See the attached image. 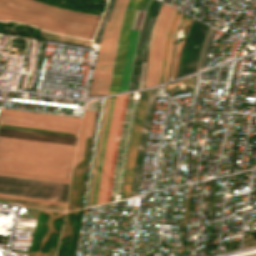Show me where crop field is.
<instances>
[{
  "instance_id": "obj_1",
  "label": "crop field",
  "mask_w": 256,
  "mask_h": 256,
  "mask_svg": "<svg viewBox=\"0 0 256 256\" xmlns=\"http://www.w3.org/2000/svg\"><path fill=\"white\" fill-rule=\"evenodd\" d=\"M146 1L147 0H130L127 5L119 40H118L115 63H114V68H113L112 77H111V84H110L108 94L116 93L118 90L133 11L134 9L143 10ZM161 5L162 3L156 0H148L147 2L142 25L139 31V36H138V41H137V46H136V51L134 55V60H133V65H132V70H131L127 91L138 89L141 62H147L150 35H151L155 18L161 8ZM139 10L134 11L131 26L139 27L142 13H143V11H139ZM137 31L138 29H134V28L130 29L128 46H127V51H126V56H125V61H124V66H123V71H122V76H121V81H120V86L118 91L125 90L126 88L133 50H134L136 36H137ZM144 67H145V63H142L140 83H139V87L141 86V88L143 84Z\"/></svg>"
},
{
  "instance_id": "obj_2",
  "label": "crop field",
  "mask_w": 256,
  "mask_h": 256,
  "mask_svg": "<svg viewBox=\"0 0 256 256\" xmlns=\"http://www.w3.org/2000/svg\"><path fill=\"white\" fill-rule=\"evenodd\" d=\"M99 18L33 0H0V21L15 20L63 35L92 39Z\"/></svg>"
},
{
  "instance_id": "obj_3",
  "label": "crop field",
  "mask_w": 256,
  "mask_h": 256,
  "mask_svg": "<svg viewBox=\"0 0 256 256\" xmlns=\"http://www.w3.org/2000/svg\"><path fill=\"white\" fill-rule=\"evenodd\" d=\"M74 149L0 139V170L69 179Z\"/></svg>"
},
{
  "instance_id": "obj_4",
  "label": "crop field",
  "mask_w": 256,
  "mask_h": 256,
  "mask_svg": "<svg viewBox=\"0 0 256 256\" xmlns=\"http://www.w3.org/2000/svg\"><path fill=\"white\" fill-rule=\"evenodd\" d=\"M124 95H126V94L116 96L114 108H113V103H114L115 96L111 97V99H110L108 114H107V118H106L103 138H102L101 152H100L98 170H97V175H96V181H95L92 204L96 203V199H97V192H98V186H99V179H100V172H101L104 146H105L106 136H107V132H108L111 112H112V108H113L111 123H110L108 137H107L106 146H105V152H104V159H103V165H102V172H101V179H100V186H99L97 204H101V203L105 202L108 179H109V172H110V166H111V160H112L114 144H115V139H116V134H117V129H118V124H119V119H120V114H121V108H122ZM127 97H128V95L125 96V98H124L122 114H121V119H120V124H119L116 144H115L113 160H112V166H111V172H110V179H109L106 201L109 200V197H110V191H111V184H112V178H113L117 148H118L119 138H120L122 124H123V118H124V113H125V108H126ZM94 205H96V204H94Z\"/></svg>"
},
{
  "instance_id": "obj_5",
  "label": "crop field",
  "mask_w": 256,
  "mask_h": 256,
  "mask_svg": "<svg viewBox=\"0 0 256 256\" xmlns=\"http://www.w3.org/2000/svg\"><path fill=\"white\" fill-rule=\"evenodd\" d=\"M127 3L128 0H116L111 19L104 26L90 88V97L104 95L108 92L116 44Z\"/></svg>"
},
{
  "instance_id": "obj_6",
  "label": "crop field",
  "mask_w": 256,
  "mask_h": 256,
  "mask_svg": "<svg viewBox=\"0 0 256 256\" xmlns=\"http://www.w3.org/2000/svg\"><path fill=\"white\" fill-rule=\"evenodd\" d=\"M176 9L163 4L155 21L149 46L144 88L158 84L165 40Z\"/></svg>"
},
{
  "instance_id": "obj_7",
  "label": "crop field",
  "mask_w": 256,
  "mask_h": 256,
  "mask_svg": "<svg viewBox=\"0 0 256 256\" xmlns=\"http://www.w3.org/2000/svg\"><path fill=\"white\" fill-rule=\"evenodd\" d=\"M81 118L2 109L0 124L77 133Z\"/></svg>"
},
{
  "instance_id": "obj_8",
  "label": "crop field",
  "mask_w": 256,
  "mask_h": 256,
  "mask_svg": "<svg viewBox=\"0 0 256 256\" xmlns=\"http://www.w3.org/2000/svg\"><path fill=\"white\" fill-rule=\"evenodd\" d=\"M208 30V26L192 20L186 39L182 46V54L178 67L177 77L196 72L202 44Z\"/></svg>"
},
{
  "instance_id": "obj_9",
  "label": "crop field",
  "mask_w": 256,
  "mask_h": 256,
  "mask_svg": "<svg viewBox=\"0 0 256 256\" xmlns=\"http://www.w3.org/2000/svg\"><path fill=\"white\" fill-rule=\"evenodd\" d=\"M156 91H157V87L152 88V90L149 91V94H148L145 116H144L141 133L139 137V142L137 146L136 161H135V167H134V173H133V179H132L129 197L137 195L143 156H144L149 126H150Z\"/></svg>"
},
{
  "instance_id": "obj_10",
  "label": "crop field",
  "mask_w": 256,
  "mask_h": 256,
  "mask_svg": "<svg viewBox=\"0 0 256 256\" xmlns=\"http://www.w3.org/2000/svg\"><path fill=\"white\" fill-rule=\"evenodd\" d=\"M95 113L84 112L82 119L74 166L82 160L85 137H91Z\"/></svg>"
},
{
  "instance_id": "obj_11",
  "label": "crop field",
  "mask_w": 256,
  "mask_h": 256,
  "mask_svg": "<svg viewBox=\"0 0 256 256\" xmlns=\"http://www.w3.org/2000/svg\"><path fill=\"white\" fill-rule=\"evenodd\" d=\"M0 175L13 176V177H20V178H28V179H36V180H43V181H51V182H58V183H66V184H69V180H66V179H58V178H51V177H43V176H36V175H29V174H21V173H14V172L0 171Z\"/></svg>"
},
{
  "instance_id": "obj_12",
  "label": "crop field",
  "mask_w": 256,
  "mask_h": 256,
  "mask_svg": "<svg viewBox=\"0 0 256 256\" xmlns=\"http://www.w3.org/2000/svg\"><path fill=\"white\" fill-rule=\"evenodd\" d=\"M215 29L212 27L209 28L208 33L206 35L204 45L202 48V53H201V58H200V64H199V69H203L205 67V63L207 61V54H208V48L210 46L211 39L213 37Z\"/></svg>"
},
{
  "instance_id": "obj_13",
  "label": "crop field",
  "mask_w": 256,
  "mask_h": 256,
  "mask_svg": "<svg viewBox=\"0 0 256 256\" xmlns=\"http://www.w3.org/2000/svg\"><path fill=\"white\" fill-rule=\"evenodd\" d=\"M109 99H110V97H107L106 107H105V112H104V117H103V122H102V128H101V133H100V138H99V144H98V150H97V156H96V162H95V168H94V174H93V180H92V186H91V192H90V198H89L88 206L91 205V201H92V194H93V187H94V181H95V175H96V169H97V163H98V157H99V151H100V144H101L102 132H103V127H104V122H105V117H106V112H107Z\"/></svg>"
},
{
  "instance_id": "obj_14",
  "label": "crop field",
  "mask_w": 256,
  "mask_h": 256,
  "mask_svg": "<svg viewBox=\"0 0 256 256\" xmlns=\"http://www.w3.org/2000/svg\"><path fill=\"white\" fill-rule=\"evenodd\" d=\"M114 2H115V0H109L108 6H107V8H106V10L104 12V16H103L102 22L100 24V27H99V29L97 31V34H96L93 42H98L99 43L103 26H104L106 20L110 19V15H111V11H112V7H113Z\"/></svg>"
},
{
  "instance_id": "obj_15",
  "label": "crop field",
  "mask_w": 256,
  "mask_h": 256,
  "mask_svg": "<svg viewBox=\"0 0 256 256\" xmlns=\"http://www.w3.org/2000/svg\"><path fill=\"white\" fill-rule=\"evenodd\" d=\"M179 13H180V11L177 10V12L175 14V17H174V20H173V23H172V26H171V29H170V32H169L167 40H166L159 84L162 82V79H163V73H164V67H165V62H166L168 45H169V41H170V38H171V35H172V32H173L174 25H175V23L178 19Z\"/></svg>"
},
{
  "instance_id": "obj_16",
  "label": "crop field",
  "mask_w": 256,
  "mask_h": 256,
  "mask_svg": "<svg viewBox=\"0 0 256 256\" xmlns=\"http://www.w3.org/2000/svg\"><path fill=\"white\" fill-rule=\"evenodd\" d=\"M0 197L66 206V203H63V202H56V201H49V200H42V199H34V198H27V197L13 196V195L0 194Z\"/></svg>"
},
{
  "instance_id": "obj_17",
  "label": "crop field",
  "mask_w": 256,
  "mask_h": 256,
  "mask_svg": "<svg viewBox=\"0 0 256 256\" xmlns=\"http://www.w3.org/2000/svg\"><path fill=\"white\" fill-rule=\"evenodd\" d=\"M182 12L180 13V16H179V19L175 25V28H174V32H173V35H172V38H171V42H170V46H169V50H168V56H167V62H166V68H165V74H164V82H166V78H167V72H168V66H169V60H170V54H171V48H172V43H173V40H174V36H175V33L178 29V26H179V23H180V20H181V17H182Z\"/></svg>"
},
{
  "instance_id": "obj_18",
  "label": "crop field",
  "mask_w": 256,
  "mask_h": 256,
  "mask_svg": "<svg viewBox=\"0 0 256 256\" xmlns=\"http://www.w3.org/2000/svg\"><path fill=\"white\" fill-rule=\"evenodd\" d=\"M105 99H104V103H103V110H104V105H105ZM103 110H102V114H101V118H100V124H99V129H98V133H97V141H96V144H95V152H94L92 169H91V175H90V181H89V188H88V194H87L86 207H87V204H88V198H89V192H90V186H91V180H92V174H93V168H94V162H95V156H96V150H97V144H98V138H99V132H100V127H101V121H102V116H103Z\"/></svg>"
},
{
  "instance_id": "obj_19",
  "label": "crop field",
  "mask_w": 256,
  "mask_h": 256,
  "mask_svg": "<svg viewBox=\"0 0 256 256\" xmlns=\"http://www.w3.org/2000/svg\"><path fill=\"white\" fill-rule=\"evenodd\" d=\"M183 40L178 44V50H177V54H176V60H175V65H174V69H173L172 79L175 78V76H176L177 67H178V63H179V58H180V54H181V46H182Z\"/></svg>"
}]
</instances>
